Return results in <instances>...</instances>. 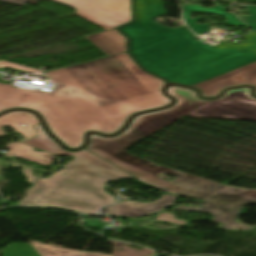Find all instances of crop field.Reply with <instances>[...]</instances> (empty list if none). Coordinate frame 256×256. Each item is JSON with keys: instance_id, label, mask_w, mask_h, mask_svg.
I'll use <instances>...</instances> for the list:
<instances>
[{"instance_id": "9", "label": "crop field", "mask_w": 256, "mask_h": 256, "mask_svg": "<svg viewBox=\"0 0 256 256\" xmlns=\"http://www.w3.org/2000/svg\"><path fill=\"white\" fill-rule=\"evenodd\" d=\"M178 196L163 194L160 200L152 203H141L127 200L122 203L106 207L105 215L141 217L159 211L166 206H172Z\"/></svg>"}, {"instance_id": "2", "label": "crop field", "mask_w": 256, "mask_h": 256, "mask_svg": "<svg viewBox=\"0 0 256 256\" xmlns=\"http://www.w3.org/2000/svg\"><path fill=\"white\" fill-rule=\"evenodd\" d=\"M136 21L120 30L131 39V54L145 68L169 82L187 86L256 60V33L247 44L215 47L195 40L185 27L156 24L166 15L162 0H135Z\"/></svg>"}, {"instance_id": "13", "label": "crop field", "mask_w": 256, "mask_h": 256, "mask_svg": "<svg viewBox=\"0 0 256 256\" xmlns=\"http://www.w3.org/2000/svg\"><path fill=\"white\" fill-rule=\"evenodd\" d=\"M6 148L10 149V151L5 154L6 156L11 157L13 155H16L48 166L51 165L54 157L53 155L45 152L32 151L33 149H38L21 142L9 144L8 146H6Z\"/></svg>"}, {"instance_id": "6", "label": "crop field", "mask_w": 256, "mask_h": 256, "mask_svg": "<svg viewBox=\"0 0 256 256\" xmlns=\"http://www.w3.org/2000/svg\"><path fill=\"white\" fill-rule=\"evenodd\" d=\"M189 115L256 120V99L249 96L248 88L232 89L221 99L211 101Z\"/></svg>"}, {"instance_id": "8", "label": "crop field", "mask_w": 256, "mask_h": 256, "mask_svg": "<svg viewBox=\"0 0 256 256\" xmlns=\"http://www.w3.org/2000/svg\"><path fill=\"white\" fill-rule=\"evenodd\" d=\"M249 84L256 87V62L237 70L201 82L193 87L202 91V96H217L220 91L229 86Z\"/></svg>"}, {"instance_id": "3", "label": "crop field", "mask_w": 256, "mask_h": 256, "mask_svg": "<svg viewBox=\"0 0 256 256\" xmlns=\"http://www.w3.org/2000/svg\"><path fill=\"white\" fill-rule=\"evenodd\" d=\"M177 109L173 106L164 111L138 116L126 131L112 139L91 135V143L86 149L132 174L139 181L150 184L164 192L205 200L201 208L180 206L176 209L214 214L213 222L223 223L224 225L221 228L224 229L251 230L250 227L236 223L234 220L244 203H256V190H245L217 184L157 166L149 161L124 153L126 148L150 136L136 129L144 118L166 114ZM160 172L168 173L177 178L171 182L162 181L156 177Z\"/></svg>"}, {"instance_id": "7", "label": "crop field", "mask_w": 256, "mask_h": 256, "mask_svg": "<svg viewBox=\"0 0 256 256\" xmlns=\"http://www.w3.org/2000/svg\"><path fill=\"white\" fill-rule=\"evenodd\" d=\"M168 93L177 99L175 106L179 110L166 115L145 119L138 126V129L151 134L207 102L197 98L195 91L188 89L169 87Z\"/></svg>"}, {"instance_id": "20", "label": "crop field", "mask_w": 256, "mask_h": 256, "mask_svg": "<svg viewBox=\"0 0 256 256\" xmlns=\"http://www.w3.org/2000/svg\"><path fill=\"white\" fill-rule=\"evenodd\" d=\"M26 176L28 177L27 180L31 183H34L37 179V177H34L32 174H31V169H27V170H24L23 171Z\"/></svg>"}, {"instance_id": "15", "label": "crop field", "mask_w": 256, "mask_h": 256, "mask_svg": "<svg viewBox=\"0 0 256 256\" xmlns=\"http://www.w3.org/2000/svg\"><path fill=\"white\" fill-rule=\"evenodd\" d=\"M32 246L41 256H111L102 253L78 252L41 243L32 244Z\"/></svg>"}, {"instance_id": "4", "label": "crop field", "mask_w": 256, "mask_h": 256, "mask_svg": "<svg viewBox=\"0 0 256 256\" xmlns=\"http://www.w3.org/2000/svg\"><path fill=\"white\" fill-rule=\"evenodd\" d=\"M48 179H39L19 205H48L96 215L100 207L113 204L114 196L105 192V182L132 176L87 150Z\"/></svg>"}, {"instance_id": "10", "label": "crop field", "mask_w": 256, "mask_h": 256, "mask_svg": "<svg viewBox=\"0 0 256 256\" xmlns=\"http://www.w3.org/2000/svg\"><path fill=\"white\" fill-rule=\"evenodd\" d=\"M183 8H184V17H185L186 23L197 34H202L206 31H208L209 26L207 24H205V25L196 24L197 21L202 20L201 17L190 19L189 14L191 11L216 14L219 16L226 17L228 19V21L226 23H224V22H218V23L232 24V25H236V26H240V27H247L239 19H237L234 16V14L225 12L224 8H222L216 4H215L214 8H205V7H202L199 5L183 6ZM212 24H215V23H212Z\"/></svg>"}, {"instance_id": "14", "label": "crop field", "mask_w": 256, "mask_h": 256, "mask_svg": "<svg viewBox=\"0 0 256 256\" xmlns=\"http://www.w3.org/2000/svg\"><path fill=\"white\" fill-rule=\"evenodd\" d=\"M37 136L24 142L33 147H36L42 151L48 152L53 155H75L73 152L64 151L59 145H57L43 130L41 125H36Z\"/></svg>"}, {"instance_id": "21", "label": "crop field", "mask_w": 256, "mask_h": 256, "mask_svg": "<svg viewBox=\"0 0 256 256\" xmlns=\"http://www.w3.org/2000/svg\"><path fill=\"white\" fill-rule=\"evenodd\" d=\"M1 1H5V2H9V3L21 5V6H23V4L26 2V0H1Z\"/></svg>"}, {"instance_id": "12", "label": "crop field", "mask_w": 256, "mask_h": 256, "mask_svg": "<svg viewBox=\"0 0 256 256\" xmlns=\"http://www.w3.org/2000/svg\"><path fill=\"white\" fill-rule=\"evenodd\" d=\"M86 38L107 56L126 51V38L116 29L86 36Z\"/></svg>"}, {"instance_id": "16", "label": "crop field", "mask_w": 256, "mask_h": 256, "mask_svg": "<svg viewBox=\"0 0 256 256\" xmlns=\"http://www.w3.org/2000/svg\"><path fill=\"white\" fill-rule=\"evenodd\" d=\"M31 248L30 244H14L4 247L0 253L2 256H40Z\"/></svg>"}, {"instance_id": "17", "label": "crop field", "mask_w": 256, "mask_h": 256, "mask_svg": "<svg viewBox=\"0 0 256 256\" xmlns=\"http://www.w3.org/2000/svg\"><path fill=\"white\" fill-rule=\"evenodd\" d=\"M241 8H248L249 11H244V12H249L250 16H240L241 19L249 24L252 28L253 31H256V7H242V6H237Z\"/></svg>"}, {"instance_id": "18", "label": "crop field", "mask_w": 256, "mask_h": 256, "mask_svg": "<svg viewBox=\"0 0 256 256\" xmlns=\"http://www.w3.org/2000/svg\"><path fill=\"white\" fill-rule=\"evenodd\" d=\"M156 220H164V221L176 223V224L183 225V226H185V224H186V221L176 220L174 214H167V213H163V214L159 215V217L156 218Z\"/></svg>"}, {"instance_id": "11", "label": "crop field", "mask_w": 256, "mask_h": 256, "mask_svg": "<svg viewBox=\"0 0 256 256\" xmlns=\"http://www.w3.org/2000/svg\"><path fill=\"white\" fill-rule=\"evenodd\" d=\"M21 124H24L25 126H21ZM36 124H39V122L36 119L35 115L22 111H15L0 117V135L6 134L4 131L1 130V127L3 125H10L16 131L22 133L26 140H28L36 136L35 129H33L34 125Z\"/></svg>"}, {"instance_id": "5", "label": "crop field", "mask_w": 256, "mask_h": 256, "mask_svg": "<svg viewBox=\"0 0 256 256\" xmlns=\"http://www.w3.org/2000/svg\"><path fill=\"white\" fill-rule=\"evenodd\" d=\"M76 9V15L108 30L132 21L130 0H53Z\"/></svg>"}, {"instance_id": "1", "label": "crop field", "mask_w": 256, "mask_h": 256, "mask_svg": "<svg viewBox=\"0 0 256 256\" xmlns=\"http://www.w3.org/2000/svg\"><path fill=\"white\" fill-rule=\"evenodd\" d=\"M46 74L57 83L51 93L0 84V112L37 111L70 149L83 144L86 131L112 134L130 115L171 103L161 93L166 83L142 72L126 53Z\"/></svg>"}, {"instance_id": "19", "label": "crop field", "mask_w": 256, "mask_h": 256, "mask_svg": "<svg viewBox=\"0 0 256 256\" xmlns=\"http://www.w3.org/2000/svg\"><path fill=\"white\" fill-rule=\"evenodd\" d=\"M3 66H7V67L23 70V71H28V72H32V73L40 72L38 70H34V69L27 68V67L15 65V64H12V63L0 61V67H3Z\"/></svg>"}]
</instances>
